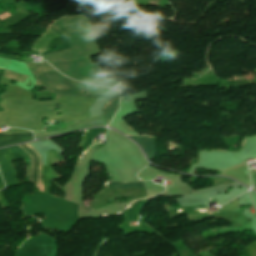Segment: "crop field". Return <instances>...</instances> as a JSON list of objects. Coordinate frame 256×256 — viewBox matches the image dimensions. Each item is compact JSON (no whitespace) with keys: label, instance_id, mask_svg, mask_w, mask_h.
<instances>
[{"label":"crop field","instance_id":"8a807250","mask_svg":"<svg viewBox=\"0 0 256 256\" xmlns=\"http://www.w3.org/2000/svg\"><path fill=\"white\" fill-rule=\"evenodd\" d=\"M90 27V22L85 16L63 17L55 21L50 28L64 38L72 48L43 58L73 79L118 89L120 82L104 78L100 68L89 61V55L99 52Z\"/></svg>","mask_w":256,"mask_h":256},{"label":"crop field","instance_id":"ac0d7876","mask_svg":"<svg viewBox=\"0 0 256 256\" xmlns=\"http://www.w3.org/2000/svg\"><path fill=\"white\" fill-rule=\"evenodd\" d=\"M22 146H23L24 148H26V149L35 157L36 167H35L34 177H33L34 166H35L34 158H33V156H32L27 150H25ZM22 146H21V145H18V147H19L22 151H24L29 157H31L32 167H31V172H30V177H29V179L32 180V177H33V181H32V182L36 184V180H37V176H38V171H39V162H40V171H41V167H42L40 154L37 153V152L32 148V146H31L29 143L26 144V146H27L28 148H30V149L37 155V157H38V159H39V162H38L36 155H35L30 149H28L24 144H23ZM40 171H39V176H38V180H37V184H36V187H37L39 190H40ZM41 191L43 192L42 184H41Z\"/></svg>","mask_w":256,"mask_h":256},{"label":"crop field","instance_id":"34b2d1b8","mask_svg":"<svg viewBox=\"0 0 256 256\" xmlns=\"http://www.w3.org/2000/svg\"><path fill=\"white\" fill-rule=\"evenodd\" d=\"M138 142L148 159L156 157L155 139L147 137L129 136Z\"/></svg>","mask_w":256,"mask_h":256},{"label":"crop field","instance_id":"412701ff","mask_svg":"<svg viewBox=\"0 0 256 256\" xmlns=\"http://www.w3.org/2000/svg\"><path fill=\"white\" fill-rule=\"evenodd\" d=\"M118 99H119V97L111 98L107 102V104L104 105V109H103L104 116H114V114L118 108Z\"/></svg>","mask_w":256,"mask_h":256},{"label":"crop field","instance_id":"f4fd0767","mask_svg":"<svg viewBox=\"0 0 256 256\" xmlns=\"http://www.w3.org/2000/svg\"><path fill=\"white\" fill-rule=\"evenodd\" d=\"M144 186L142 181L132 182V183H119V182H110L108 185L109 188H118V187H136Z\"/></svg>","mask_w":256,"mask_h":256},{"label":"crop field","instance_id":"dd49c442","mask_svg":"<svg viewBox=\"0 0 256 256\" xmlns=\"http://www.w3.org/2000/svg\"><path fill=\"white\" fill-rule=\"evenodd\" d=\"M4 76L7 77V78H10V79H13V80L20 81L22 83H24L25 79L27 78V76L11 72L7 69H6V73H5Z\"/></svg>","mask_w":256,"mask_h":256},{"label":"crop field","instance_id":"e52e79f7","mask_svg":"<svg viewBox=\"0 0 256 256\" xmlns=\"http://www.w3.org/2000/svg\"><path fill=\"white\" fill-rule=\"evenodd\" d=\"M6 19V18H5Z\"/></svg>","mask_w":256,"mask_h":256}]
</instances>
